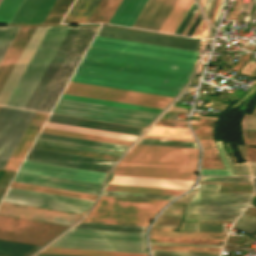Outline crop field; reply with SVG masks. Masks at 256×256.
<instances>
[{"instance_id":"crop-field-1","label":"crop field","mask_w":256,"mask_h":256,"mask_svg":"<svg viewBox=\"0 0 256 256\" xmlns=\"http://www.w3.org/2000/svg\"><path fill=\"white\" fill-rule=\"evenodd\" d=\"M193 65L88 48L75 73L180 90Z\"/></svg>"},{"instance_id":"crop-field-2","label":"crop field","mask_w":256,"mask_h":256,"mask_svg":"<svg viewBox=\"0 0 256 256\" xmlns=\"http://www.w3.org/2000/svg\"><path fill=\"white\" fill-rule=\"evenodd\" d=\"M198 149L136 145L115 175L194 180Z\"/></svg>"},{"instance_id":"crop-field-3","label":"crop field","mask_w":256,"mask_h":256,"mask_svg":"<svg viewBox=\"0 0 256 256\" xmlns=\"http://www.w3.org/2000/svg\"><path fill=\"white\" fill-rule=\"evenodd\" d=\"M166 202L102 196L91 216L83 222L146 226Z\"/></svg>"},{"instance_id":"crop-field-4","label":"crop field","mask_w":256,"mask_h":256,"mask_svg":"<svg viewBox=\"0 0 256 256\" xmlns=\"http://www.w3.org/2000/svg\"><path fill=\"white\" fill-rule=\"evenodd\" d=\"M69 27H49L5 105L24 108Z\"/></svg>"},{"instance_id":"crop-field-5","label":"crop field","mask_w":256,"mask_h":256,"mask_svg":"<svg viewBox=\"0 0 256 256\" xmlns=\"http://www.w3.org/2000/svg\"><path fill=\"white\" fill-rule=\"evenodd\" d=\"M49 246L146 253L143 234L72 229Z\"/></svg>"},{"instance_id":"crop-field-6","label":"crop field","mask_w":256,"mask_h":256,"mask_svg":"<svg viewBox=\"0 0 256 256\" xmlns=\"http://www.w3.org/2000/svg\"><path fill=\"white\" fill-rule=\"evenodd\" d=\"M52 113L138 127H146L157 116V114L155 113L69 101L63 99H59Z\"/></svg>"},{"instance_id":"crop-field-7","label":"crop field","mask_w":256,"mask_h":256,"mask_svg":"<svg viewBox=\"0 0 256 256\" xmlns=\"http://www.w3.org/2000/svg\"><path fill=\"white\" fill-rule=\"evenodd\" d=\"M98 27H81L39 103L36 111L51 112Z\"/></svg>"},{"instance_id":"crop-field-8","label":"crop field","mask_w":256,"mask_h":256,"mask_svg":"<svg viewBox=\"0 0 256 256\" xmlns=\"http://www.w3.org/2000/svg\"><path fill=\"white\" fill-rule=\"evenodd\" d=\"M64 93L163 109L170 97L69 82Z\"/></svg>"},{"instance_id":"crop-field-9","label":"crop field","mask_w":256,"mask_h":256,"mask_svg":"<svg viewBox=\"0 0 256 256\" xmlns=\"http://www.w3.org/2000/svg\"><path fill=\"white\" fill-rule=\"evenodd\" d=\"M65 226L0 216V239L43 245Z\"/></svg>"},{"instance_id":"crop-field-10","label":"crop field","mask_w":256,"mask_h":256,"mask_svg":"<svg viewBox=\"0 0 256 256\" xmlns=\"http://www.w3.org/2000/svg\"><path fill=\"white\" fill-rule=\"evenodd\" d=\"M2 201L82 213L93 203L91 200L45 194L9 188Z\"/></svg>"},{"instance_id":"crop-field-11","label":"crop field","mask_w":256,"mask_h":256,"mask_svg":"<svg viewBox=\"0 0 256 256\" xmlns=\"http://www.w3.org/2000/svg\"><path fill=\"white\" fill-rule=\"evenodd\" d=\"M34 112L0 107V168L4 169Z\"/></svg>"},{"instance_id":"crop-field-12","label":"crop field","mask_w":256,"mask_h":256,"mask_svg":"<svg viewBox=\"0 0 256 256\" xmlns=\"http://www.w3.org/2000/svg\"><path fill=\"white\" fill-rule=\"evenodd\" d=\"M148 0H100L87 23L104 22L132 27Z\"/></svg>"},{"instance_id":"crop-field-13","label":"crop field","mask_w":256,"mask_h":256,"mask_svg":"<svg viewBox=\"0 0 256 256\" xmlns=\"http://www.w3.org/2000/svg\"><path fill=\"white\" fill-rule=\"evenodd\" d=\"M99 36L198 52L200 41L102 26Z\"/></svg>"},{"instance_id":"crop-field-14","label":"crop field","mask_w":256,"mask_h":256,"mask_svg":"<svg viewBox=\"0 0 256 256\" xmlns=\"http://www.w3.org/2000/svg\"><path fill=\"white\" fill-rule=\"evenodd\" d=\"M26 160L107 173L114 162L31 148Z\"/></svg>"},{"instance_id":"crop-field-15","label":"crop field","mask_w":256,"mask_h":256,"mask_svg":"<svg viewBox=\"0 0 256 256\" xmlns=\"http://www.w3.org/2000/svg\"><path fill=\"white\" fill-rule=\"evenodd\" d=\"M92 45L133 51V52H140V53H146V54H153V55H159V56L173 57V58H179V59H186V60H192V61L196 60V57L198 54L195 52H189V51H183V50H177V49H171V48H165V47L99 37V36L95 37Z\"/></svg>"},{"instance_id":"crop-field-16","label":"crop field","mask_w":256,"mask_h":256,"mask_svg":"<svg viewBox=\"0 0 256 256\" xmlns=\"http://www.w3.org/2000/svg\"><path fill=\"white\" fill-rule=\"evenodd\" d=\"M0 215L69 226L79 215L1 203Z\"/></svg>"},{"instance_id":"crop-field-17","label":"crop field","mask_w":256,"mask_h":256,"mask_svg":"<svg viewBox=\"0 0 256 256\" xmlns=\"http://www.w3.org/2000/svg\"><path fill=\"white\" fill-rule=\"evenodd\" d=\"M19 171L98 184L102 183L106 175L104 173L40 164L28 161H24Z\"/></svg>"},{"instance_id":"crop-field-18","label":"crop field","mask_w":256,"mask_h":256,"mask_svg":"<svg viewBox=\"0 0 256 256\" xmlns=\"http://www.w3.org/2000/svg\"><path fill=\"white\" fill-rule=\"evenodd\" d=\"M48 27H36L34 33L32 34L30 40L28 41L26 47L24 48L22 54L20 55L18 61L16 62L14 68L12 69L10 75L8 76L6 82L4 83L2 89L0 90V104L4 105L6 99L11 93L13 87L18 81L20 75L25 69L27 63L32 57L34 51L39 45L41 39L46 33Z\"/></svg>"},{"instance_id":"crop-field-19","label":"crop field","mask_w":256,"mask_h":256,"mask_svg":"<svg viewBox=\"0 0 256 256\" xmlns=\"http://www.w3.org/2000/svg\"><path fill=\"white\" fill-rule=\"evenodd\" d=\"M79 29L80 27H70L68 33L66 34L64 40L62 41L48 68L43 74L41 80L39 81L25 108L34 110L36 104L38 103L40 97L42 96L44 90L46 89L48 83L50 82L52 76L54 75L56 69L58 68L60 62L62 61L64 55L66 54Z\"/></svg>"},{"instance_id":"crop-field-20","label":"crop field","mask_w":256,"mask_h":256,"mask_svg":"<svg viewBox=\"0 0 256 256\" xmlns=\"http://www.w3.org/2000/svg\"><path fill=\"white\" fill-rule=\"evenodd\" d=\"M197 189L189 205L247 206L253 193H216Z\"/></svg>"},{"instance_id":"crop-field-21","label":"crop field","mask_w":256,"mask_h":256,"mask_svg":"<svg viewBox=\"0 0 256 256\" xmlns=\"http://www.w3.org/2000/svg\"><path fill=\"white\" fill-rule=\"evenodd\" d=\"M13 181L97 194L101 185L18 172Z\"/></svg>"},{"instance_id":"crop-field-22","label":"crop field","mask_w":256,"mask_h":256,"mask_svg":"<svg viewBox=\"0 0 256 256\" xmlns=\"http://www.w3.org/2000/svg\"><path fill=\"white\" fill-rule=\"evenodd\" d=\"M49 114L35 112L5 169L17 170Z\"/></svg>"},{"instance_id":"crop-field-23","label":"crop field","mask_w":256,"mask_h":256,"mask_svg":"<svg viewBox=\"0 0 256 256\" xmlns=\"http://www.w3.org/2000/svg\"><path fill=\"white\" fill-rule=\"evenodd\" d=\"M71 81L174 97L178 91L74 74Z\"/></svg>"},{"instance_id":"crop-field-24","label":"crop field","mask_w":256,"mask_h":256,"mask_svg":"<svg viewBox=\"0 0 256 256\" xmlns=\"http://www.w3.org/2000/svg\"><path fill=\"white\" fill-rule=\"evenodd\" d=\"M56 0H24L11 23H43Z\"/></svg>"},{"instance_id":"crop-field-25","label":"crop field","mask_w":256,"mask_h":256,"mask_svg":"<svg viewBox=\"0 0 256 256\" xmlns=\"http://www.w3.org/2000/svg\"><path fill=\"white\" fill-rule=\"evenodd\" d=\"M35 27H20L16 37L0 63V89L33 33Z\"/></svg>"},{"instance_id":"crop-field-26","label":"crop field","mask_w":256,"mask_h":256,"mask_svg":"<svg viewBox=\"0 0 256 256\" xmlns=\"http://www.w3.org/2000/svg\"><path fill=\"white\" fill-rule=\"evenodd\" d=\"M36 142L50 144V145H56V146H62V147H68V148H74V149H80V150H86V151H92V152H98V153H104V154H110V155H116V156H120L122 153L120 151H113V150H107V149L93 148V147L53 142V141L40 140V139H37ZM38 143H34L33 147L47 149V150H53V151H59V152H65V153H71V154H77V155H83V156H89V157H95V158H101V159H107V160H113V161H115L118 158L116 156H110V155H104V154H98V153L50 146V145H44V144H38Z\"/></svg>"},{"instance_id":"crop-field-27","label":"crop field","mask_w":256,"mask_h":256,"mask_svg":"<svg viewBox=\"0 0 256 256\" xmlns=\"http://www.w3.org/2000/svg\"><path fill=\"white\" fill-rule=\"evenodd\" d=\"M48 121L138 136L142 129L50 115Z\"/></svg>"},{"instance_id":"crop-field-28","label":"crop field","mask_w":256,"mask_h":256,"mask_svg":"<svg viewBox=\"0 0 256 256\" xmlns=\"http://www.w3.org/2000/svg\"><path fill=\"white\" fill-rule=\"evenodd\" d=\"M192 182L115 176L110 184L187 189Z\"/></svg>"},{"instance_id":"crop-field-29","label":"crop field","mask_w":256,"mask_h":256,"mask_svg":"<svg viewBox=\"0 0 256 256\" xmlns=\"http://www.w3.org/2000/svg\"><path fill=\"white\" fill-rule=\"evenodd\" d=\"M192 1L193 0H177L159 31L174 33Z\"/></svg>"},{"instance_id":"crop-field-30","label":"crop field","mask_w":256,"mask_h":256,"mask_svg":"<svg viewBox=\"0 0 256 256\" xmlns=\"http://www.w3.org/2000/svg\"><path fill=\"white\" fill-rule=\"evenodd\" d=\"M41 252L60 253V254H73V255H87V256H147L146 254H139V253L96 251V250L54 248V247H46Z\"/></svg>"},{"instance_id":"crop-field-31","label":"crop field","mask_w":256,"mask_h":256,"mask_svg":"<svg viewBox=\"0 0 256 256\" xmlns=\"http://www.w3.org/2000/svg\"><path fill=\"white\" fill-rule=\"evenodd\" d=\"M39 247V245L0 240V255L28 256Z\"/></svg>"},{"instance_id":"crop-field-32","label":"crop field","mask_w":256,"mask_h":256,"mask_svg":"<svg viewBox=\"0 0 256 256\" xmlns=\"http://www.w3.org/2000/svg\"><path fill=\"white\" fill-rule=\"evenodd\" d=\"M45 127L53 128V129H59V130L72 131V132H78V133H85V134H91V135L110 137V138H117V139L129 140V141H134L137 138L135 136H129V135L99 131V130H92V129H86V128H80V127L50 123V122H47Z\"/></svg>"},{"instance_id":"crop-field-33","label":"crop field","mask_w":256,"mask_h":256,"mask_svg":"<svg viewBox=\"0 0 256 256\" xmlns=\"http://www.w3.org/2000/svg\"><path fill=\"white\" fill-rule=\"evenodd\" d=\"M38 138L73 143V144L87 145V146H93V147L107 148V149H113V150H120V151H124L127 148L125 146L106 144V143H100V142H94V141H88V140H81V139H75V138H69V137H62V136H56V135H50V134H44V133H40Z\"/></svg>"},{"instance_id":"crop-field-34","label":"crop field","mask_w":256,"mask_h":256,"mask_svg":"<svg viewBox=\"0 0 256 256\" xmlns=\"http://www.w3.org/2000/svg\"><path fill=\"white\" fill-rule=\"evenodd\" d=\"M151 236L224 239L226 234L172 232V229L152 228Z\"/></svg>"},{"instance_id":"crop-field-35","label":"crop field","mask_w":256,"mask_h":256,"mask_svg":"<svg viewBox=\"0 0 256 256\" xmlns=\"http://www.w3.org/2000/svg\"><path fill=\"white\" fill-rule=\"evenodd\" d=\"M106 190L179 195L185 190L108 185Z\"/></svg>"},{"instance_id":"crop-field-36","label":"crop field","mask_w":256,"mask_h":256,"mask_svg":"<svg viewBox=\"0 0 256 256\" xmlns=\"http://www.w3.org/2000/svg\"><path fill=\"white\" fill-rule=\"evenodd\" d=\"M11 187L95 200V196H93V195H87V194H81V193H75V192L45 188V187H39V186H33V185H27V184L15 183V182L12 183Z\"/></svg>"},{"instance_id":"crop-field-37","label":"crop field","mask_w":256,"mask_h":256,"mask_svg":"<svg viewBox=\"0 0 256 256\" xmlns=\"http://www.w3.org/2000/svg\"><path fill=\"white\" fill-rule=\"evenodd\" d=\"M61 98L102 104V105L116 106V107H122V108H129V109H135V110L149 111V112H155V113H159L161 111L159 109L134 106V105H128V104H122V103H116V102H109V101H103V100H97V99H91V98H84V97H78V96H72V95H66V94H62Z\"/></svg>"},{"instance_id":"crop-field-38","label":"crop field","mask_w":256,"mask_h":256,"mask_svg":"<svg viewBox=\"0 0 256 256\" xmlns=\"http://www.w3.org/2000/svg\"><path fill=\"white\" fill-rule=\"evenodd\" d=\"M42 132L56 134V135L69 136V137H75V138H81V139L100 141V142L119 144V145H125V146H129L131 143L129 141L110 139V138H104V137H98V136H91V135H85V134H78V133H72V132H66V131H59V130H53V129H47V128H43Z\"/></svg>"},{"instance_id":"crop-field-39","label":"crop field","mask_w":256,"mask_h":256,"mask_svg":"<svg viewBox=\"0 0 256 256\" xmlns=\"http://www.w3.org/2000/svg\"><path fill=\"white\" fill-rule=\"evenodd\" d=\"M176 0H163L146 29L158 31Z\"/></svg>"},{"instance_id":"crop-field-40","label":"crop field","mask_w":256,"mask_h":256,"mask_svg":"<svg viewBox=\"0 0 256 256\" xmlns=\"http://www.w3.org/2000/svg\"><path fill=\"white\" fill-rule=\"evenodd\" d=\"M161 1L162 0H149L144 9L142 10L141 14L139 15L138 19L134 23L133 27L145 29L146 25L150 21Z\"/></svg>"},{"instance_id":"crop-field-41","label":"crop field","mask_w":256,"mask_h":256,"mask_svg":"<svg viewBox=\"0 0 256 256\" xmlns=\"http://www.w3.org/2000/svg\"><path fill=\"white\" fill-rule=\"evenodd\" d=\"M23 0H2L0 3V23H10Z\"/></svg>"},{"instance_id":"crop-field-42","label":"crop field","mask_w":256,"mask_h":256,"mask_svg":"<svg viewBox=\"0 0 256 256\" xmlns=\"http://www.w3.org/2000/svg\"><path fill=\"white\" fill-rule=\"evenodd\" d=\"M73 0H58L44 23H59Z\"/></svg>"},{"instance_id":"crop-field-43","label":"crop field","mask_w":256,"mask_h":256,"mask_svg":"<svg viewBox=\"0 0 256 256\" xmlns=\"http://www.w3.org/2000/svg\"><path fill=\"white\" fill-rule=\"evenodd\" d=\"M19 27H0V61Z\"/></svg>"},{"instance_id":"crop-field-44","label":"crop field","mask_w":256,"mask_h":256,"mask_svg":"<svg viewBox=\"0 0 256 256\" xmlns=\"http://www.w3.org/2000/svg\"><path fill=\"white\" fill-rule=\"evenodd\" d=\"M146 135L192 139L188 130L152 128Z\"/></svg>"},{"instance_id":"crop-field-45","label":"crop field","mask_w":256,"mask_h":256,"mask_svg":"<svg viewBox=\"0 0 256 256\" xmlns=\"http://www.w3.org/2000/svg\"><path fill=\"white\" fill-rule=\"evenodd\" d=\"M224 224L198 223L197 229H223ZM197 223H183L181 231L196 232ZM197 232H216L223 233V230H197Z\"/></svg>"},{"instance_id":"crop-field-46","label":"crop field","mask_w":256,"mask_h":256,"mask_svg":"<svg viewBox=\"0 0 256 256\" xmlns=\"http://www.w3.org/2000/svg\"><path fill=\"white\" fill-rule=\"evenodd\" d=\"M99 0H85L72 23H86Z\"/></svg>"},{"instance_id":"crop-field-47","label":"crop field","mask_w":256,"mask_h":256,"mask_svg":"<svg viewBox=\"0 0 256 256\" xmlns=\"http://www.w3.org/2000/svg\"><path fill=\"white\" fill-rule=\"evenodd\" d=\"M138 144L197 148L195 142L142 139Z\"/></svg>"},{"instance_id":"crop-field-48","label":"crop field","mask_w":256,"mask_h":256,"mask_svg":"<svg viewBox=\"0 0 256 256\" xmlns=\"http://www.w3.org/2000/svg\"><path fill=\"white\" fill-rule=\"evenodd\" d=\"M233 228L254 233V231L256 230V219L242 214L241 217L234 224Z\"/></svg>"},{"instance_id":"crop-field-49","label":"crop field","mask_w":256,"mask_h":256,"mask_svg":"<svg viewBox=\"0 0 256 256\" xmlns=\"http://www.w3.org/2000/svg\"><path fill=\"white\" fill-rule=\"evenodd\" d=\"M104 195L170 200L175 196L105 191Z\"/></svg>"},{"instance_id":"crop-field-50","label":"crop field","mask_w":256,"mask_h":256,"mask_svg":"<svg viewBox=\"0 0 256 256\" xmlns=\"http://www.w3.org/2000/svg\"><path fill=\"white\" fill-rule=\"evenodd\" d=\"M216 143H217V146L219 148V153H220V156H221V160H222L226 170L202 169L201 175H233L229 166H228V163H227V161L224 157V152H223L221 143L220 142H216Z\"/></svg>"},{"instance_id":"crop-field-51","label":"crop field","mask_w":256,"mask_h":256,"mask_svg":"<svg viewBox=\"0 0 256 256\" xmlns=\"http://www.w3.org/2000/svg\"><path fill=\"white\" fill-rule=\"evenodd\" d=\"M76 226L96 227V228H110V229H124V230H138V231H144V229H145V227H138V226L105 225V224H89V223H79Z\"/></svg>"},{"instance_id":"crop-field-52","label":"crop field","mask_w":256,"mask_h":256,"mask_svg":"<svg viewBox=\"0 0 256 256\" xmlns=\"http://www.w3.org/2000/svg\"><path fill=\"white\" fill-rule=\"evenodd\" d=\"M238 215H186L185 219L235 220Z\"/></svg>"},{"instance_id":"crop-field-53","label":"crop field","mask_w":256,"mask_h":256,"mask_svg":"<svg viewBox=\"0 0 256 256\" xmlns=\"http://www.w3.org/2000/svg\"><path fill=\"white\" fill-rule=\"evenodd\" d=\"M15 172L0 170V199L3 196Z\"/></svg>"},{"instance_id":"crop-field-54","label":"crop field","mask_w":256,"mask_h":256,"mask_svg":"<svg viewBox=\"0 0 256 256\" xmlns=\"http://www.w3.org/2000/svg\"><path fill=\"white\" fill-rule=\"evenodd\" d=\"M200 182H251L250 178L201 177Z\"/></svg>"},{"instance_id":"crop-field-55","label":"crop field","mask_w":256,"mask_h":256,"mask_svg":"<svg viewBox=\"0 0 256 256\" xmlns=\"http://www.w3.org/2000/svg\"><path fill=\"white\" fill-rule=\"evenodd\" d=\"M195 2L192 3V5L190 6L189 10L187 11L186 15L184 16V18L182 19L181 23L179 24L178 28L175 31V34L177 32V30L179 29V27L181 26L182 22L184 21V19L186 18L187 14L189 13V11L191 10L192 6L194 5ZM197 5L195 3L194 7L192 8V10L190 11L189 15L187 16V18L185 19L184 23L182 24V26L180 27L179 31L177 32V34H180L183 32L184 28L186 27V25L188 24V22L190 21V19L192 18L193 14L195 13V11L197 10Z\"/></svg>"},{"instance_id":"crop-field-56","label":"crop field","mask_w":256,"mask_h":256,"mask_svg":"<svg viewBox=\"0 0 256 256\" xmlns=\"http://www.w3.org/2000/svg\"><path fill=\"white\" fill-rule=\"evenodd\" d=\"M83 2L84 0H76V2L74 3V5L72 6V8L68 12L67 16L65 17L62 23H71L72 19L76 15L77 11L79 10Z\"/></svg>"},{"instance_id":"crop-field-57","label":"crop field","mask_w":256,"mask_h":256,"mask_svg":"<svg viewBox=\"0 0 256 256\" xmlns=\"http://www.w3.org/2000/svg\"><path fill=\"white\" fill-rule=\"evenodd\" d=\"M90 47H92V48H98V49H104V50H110V51H117V52L129 53V54H135V55H142V56L154 57V58H160V59H166V60H173V61L191 63V64H194V63H195V62H192V61L179 60V59H173V58L159 57V56L146 55V54L133 53V52H127V51H120V50H113V49H107V48H100V47H94V46H90Z\"/></svg>"},{"instance_id":"crop-field-58","label":"crop field","mask_w":256,"mask_h":256,"mask_svg":"<svg viewBox=\"0 0 256 256\" xmlns=\"http://www.w3.org/2000/svg\"><path fill=\"white\" fill-rule=\"evenodd\" d=\"M207 35V22L203 21L199 24L195 32L192 34L193 37L205 38Z\"/></svg>"},{"instance_id":"crop-field-59","label":"crop field","mask_w":256,"mask_h":256,"mask_svg":"<svg viewBox=\"0 0 256 256\" xmlns=\"http://www.w3.org/2000/svg\"><path fill=\"white\" fill-rule=\"evenodd\" d=\"M217 0H206L204 9L209 17V19L211 20L215 5H216Z\"/></svg>"},{"instance_id":"crop-field-60","label":"crop field","mask_w":256,"mask_h":256,"mask_svg":"<svg viewBox=\"0 0 256 256\" xmlns=\"http://www.w3.org/2000/svg\"><path fill=\"white\" fill-rule=\"evenodd\" d=\"M238 175H250L247 163L234 164Z\"/></svg>"},{"instance_id":"crop-field-61","label":"crop field","mask_w":256,"mask_h":256,"mask_svg":"<svg viewBox=\"0 0 256 256\" xmlns=\"http://www.w3.org/2000/svg\"><path fill=\"white\" fill-rule=\"evenodd\" d=\"M241 3H242V0H236V4H235L233 10L229 13L227 19L237 20Z\"/></svg>"},{"instance_id":"crop-field-62","label":"crop field","mask_w":256,"mask_h":256,"mask_svg":"<svg viewBox=\"0 0 256 256\" xmlns=\"http://www.w3.org/2000/svg\"><path fill=\"white\" fill-rule=\"evenodd\" d=\"M201 20H202V17H201V14L199 12L198 16L196 17V19L194 20L193 24L191 25V27L189 28L188 32L186 33V36H191V34L194 32V30L196 29L198 24L201 22Z\"/></svg>"},{"instance_id":"crop-field-63","label":"crop field","mask_w":256,"mask_h":256,"mask_svg":"<svg viewBox=\"0 0 256 256\" xmlns=\"http://www.w3.org/2000/svg\"><path fill=\"white\" fill-rule=\"evenodd\" d=\"M203 145L204 152L218 153L214 143L201 142Z\"/></svg>"},{"instance_id":"crop-field-64","label":"crop field","mask_w":256,"mask_h":256,"mask_svg":"<svg viewBox=\"0 0 256 256\" xmlns=\"http://www.w3.org/2000/svg\"><path fill=\"white\" fill-rule=\"evenodd\" d=\"M159 253H173V254H187V255H208V256H220L216 254H208V253H191V252H165V251H152Z\"/></svg>"},{"instance_id":"crop-field-65","label":"crop field","mask_w":256,"mask_h":256,"mask_svg":"<svg viewBox=\"0 0 256 256\" xmlns=\"http://www.w3.org/2000/svg\"><path fill=\"white\" fill-rule=\"evenodd\" d=\"M159 245H175V246H192V247H221V246H211V245H188V244H162V243H151Z\"/></svg>"},{"instance_id":"crop-field-66","label":"crop field","mask_w":256,"mask_h":256,"mask_svg":"<svg viewBox=\"0 0 256 256\" xmlns=\"http://www.w3.org/2000/svg\"><path fill=\"white\" fill-rule=\"evenodd\" d=\"M224 3H225V0H222L221 5H220V9H219V12H218V15H217L215 24H214L215 27H217V24H218V22H219L220 16H221V14H222L220 11H221V9H222Z\"/></svg>"},{"instance_id":"crop-field-67","label":"crop field","mask_w":256,"mask_h":256,"mask_svg":"<svg viewBox=\"0 0 256 256\" xmlns=\"http://www.w3.org/2000/svg\"><path fill=\"white\" fill-rule=\"evenodd\" d=\"M220 2H221V0H218L217 5H216V8H215V11H214V14H213V17H212V20H211V23H212V24H214V21H215V18H216L218 9H219Z\"/></svg>"},{"instance_id":"crop-field-68","label":"crop field","mask_w":256,"mask_h":256,"mask_svg":"<svg viewBox=\"0 0 256 256\" xmlns=\"http://www.w3.org/2000/svg\"><path fill=\"white\" fill-rule=\"evenodd\" d=\"M144 138L194 141V140H187V139H175V138L151 137V136H144Z\"/></svg>"},{"instance_id":"crop-field-69","label":"crop field","mask_w":256,"mask_h":256,"mask_svg":"<svg viewBox=\"0 0 256 256\" xmlns=\"http://www.w3.org/2000/svg\"><path fill=\"white\" fill-rule=\"evenodd\" d=\"M252 171V175L256 176V162H248Z\"/></svg>"},{"instance_id":"crop-field-70","label":"crop field","mask_w":256,"mask_h":256,"mask_svg":"<svg viewBox=\"0 0 256 256\" xmlns=\"http://www.w3.org/2000/svg\"><path fill=\"white\" fill-rule=\"evenodd\" d=\"M74 228L143 233V232H137V231H123V230H109V229H95V228H81V227H74Z\"/></svg>"},{"instance_id":"crop-field-71","label":"crop field","mask_w":256,"mask_h":256,"mask_svg":"<svg viewBox=\"0 0 256 256\" xmlns=\"http://www.w3.org/2000/svg\"><path fill=\"white\" fill-rule=\"evenodd\" d=\"M220 185L200 184L199 188H219Z\"/></svg>"},{"instance_id":"crop-field-72","label":"crop field","mask_w":256,"mask_h":256,"mask_svg":"<svg viewBox=\"0 0 256 256\" xmlns=\"http://www.w3.org/2000/svg\"><path fill=\"white\" fill-rule=\"evenodd\" d=\"M36 256H73V255H60V254H46V253H39Z\"/></svg>"},{"instance_id":"crop-field-73","label":"crop field","mask_w":256,"mask_h":256,"mask_svg":"<svg viewBox=\"0 0 256 256\" xmlns=\"http://www.w3.org/2000/svg\"><path fill=\"white\" fill-rule=\"evenodd\" d=\"M226 158H227V160H228V162H229V165H230V167H231V170H232L233 174H234V175H237L236 172H235V169H234V167H233V165H232V162H231V160H230V158H229V156H226Z\"/></svg>"},{"instance_id":"crop-field-74","label":"crop field","mask_w":256,"mask_h":256,"mask_svg":"<svg viewBox=\"0 0 256 256\" xmlns=\"http://www.w3.org/2000/svg\"><path fill=\"white\" fill-rule=\"evenodd\" d=\"M153 255H159V256H186V255H172V254H158V253H152Z\"/></svg>"},{"instance_id":"crop-field-75","label":"crop field","mask_w":256,"mask_h":256,"mask_svg":"<svg viewBox=\"0 0 256 256\" xmlns=\"http://www.w3.org/2000/svg\"><path fill=\"white\" fill-rule=\"evenodd\" d=\"M154 227L177 228V226L154 225Z\"/></svg>"},{"instance_id":"crop-field-76","label":"crop field","mask_w":256,"mask_h":256,"mask_svg":"<svg viewBox=\"0 0 256 256\" xmlns=\"http://www.w3.org/2000/svg\"><path fill=\"white\" fill-rule=\"evenodd\" d=\"M253 181H254V189H255V192H256V178H253Z\"/></svg>"},{"instance_id":"crop-field-77","label":"crop field","mask_w":256,"mask_h":256,"mask_svg":"<svg viewBox=\"0 0 256 256\" xmlns=\"http://www.w3.org/2000/svg\"><path fill=\"white\" fill-rule=\"evenodd\" d=\"M215 31H216V29L213 28L212 34H211V37H210V38H213V35H214Z\"/></svg>"},{"instance_id":"crop-field-78","label":"crop field","mask_w":256,"mask_h":256,"mask_svg":"<svg viewBox=\"0 0 256 256\" xmlns=\"http://www.w3.org/2000/svg\"><path fill=\"white\" fill-rule=\"evenodd\" d=\"M200 141H208V142H213V140H200Z\"/></svg>"},{"instance_id":"crop-field-79","label":"crop field","mask_w":256,"mask_h":256,"mask_svg":"<svg viewBox=\"0 0 256 256\" xmlns=\"http://www.w3.org/2000/svg\"><path fill=\"white\" fill-rule=\"evenodd\" d=\"M202 5L204 6L205 0H201Z\"/></svg>"},{"instance_id":"crop-field-80","label":"crop field","mask_w":256,"mask_h":256,"mask_svg":"<svg viewBox=\"0 0 256 256\" xmlns=\"http://www.w3.org/2000/svg\"><path fill=\"white\" fill-rule=\"evenodd\" d=\"M0 2H1V0H0Z\"/></svg>"},{"instance_id":"crop-field-81","label":"crop field","mask_w":256,"mask_h":256,"mask_svg":"<svg viewBox=\"0 0 256 256\" xmlns=\"http://www.w3.org/2000/svg\"><path fill=\"white\" fill-rule=\"evenodd\" d=\"M256 1V0H255Z\"/></svg>"}]
</instances>
